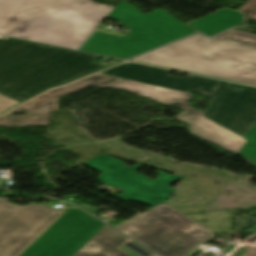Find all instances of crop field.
I'll use <instances>...</instances> for the list:
<instances>
[{
  "instance_id": "8a807250",
  "label": "crop field",
  "mask_w": 256,
  "mask_h": 256,
  "mask_svg": "<svg viewBox=\"0 0 256 256\" xmlns=\"http://www.w3.org/2000/svg\"><path fill=\"white\" fill-rule=\"evenodd\" d=\"M168 73L160 68L123 63L100 74L185 93L202 92L212 99L201 116L246 139L238 155L256 164V88L190 74L181 79Z\"/></svg>"
},
{
  "instance_id": "d1516ede",
  "label": "crop field",
  "mask_w": 256,
  "mask_h": 256,
  "mask_svg": "<svg viewBox=\"0 0 256 256\" xmlns=\"http://www.w3.org/2000/svg\"><path fill=\"white\" fill-rule=\"evenodd\" d=\"M128 238L104 226L73 256H128L117 248Z\"/></svg>"
},
{
  "instance_id": "412701ff",
  "label": "crop field",
  "mask_w": 256,
  "mask_h": 256,
  "mask_svg": "<svg viewBox=\"0 0 256 256\" xmlns=\"http://www.w3.org/2000/svg\"><path fill=\"white\" fill-rule=\"evenodd\" d=\"M98 56L3 37L0 39V93L20 101L106 66Z\"/></svg>"
},
{
  "instance_id": "5142ce71",
  "label": "crop field",
  "mask_w": 256,
  "mask_h": 256,
  "mask_svg": "<svg viewBox=\"0 0 256 256\" xmlns=\"http://www.w3.org/2000/svg\"><path fill=\"white\" fill-rule=\"evenodd\" d=\"M82 208H84L85 210L89 211L90 213L92 214H95L98 210V208H94V207H91V206H88V205H80Z\"/></svg>"
},
{
  "instance_id": "d9b57169",
  "label": "crop field",
  "mask_w": 256,
  "mask_h": 256,
  "mask_svg": "<svg viewBox=\"0 0 256 256\" xmlns=\"http://www.w3.org/2000/svg\"><path fill=\"white\" fill-rule=\"evenodd\" d=\"M256 255V249L251 248L246 253H244L242 256H255Z\"/></svg>"
},
{
  "instance_id": "4a817a6b",
  "label": "crop field",
  "mask_w": 256,
  "mask_h": 256,
  "mask_svg": "<svg viewBox=\"0 0 256 256\" xmlns=\"http://www.w3.org/2000/svg\"><path fill=\"white\" fill-rule=\"evenodd\" d=\"M2 36H0V38H1Z\"/></svg>"
},
{
  "instance_id": "e52e79f7",
  "label": "crop field",
  "mask_w": 256,
  "mask_h": 256,
  "mask_svg": "<svg viewBox=\"0 0 256 256\" xmlns=\"http://www.w3.org/2000/svg\"><path fill=\"white\" fill-rule=\"evenodd\" d=\"M83 165H87L101 172L102 174L97 179L103 184H109L125 191L114 196L124 201L143 202L152 207L169 199L173 189L167 186L182 178L177 175L170 176L158 171L156 172L158 179L156 178L157 180L150 181L135 172L141 165L135 164L128 168L122 162L103 154ZM152 199L156 200L153 201Z\"/></svg>"
},
{
  "instance_id": "733c2abd",
  "label": "crop field",
  "mask_w": 256,
  "mask_h": 256,
  "mask_svg": "<svg viewBox=\"0 0 256 256\" xmlns=\"http://www.w3.org/2000/svg\"><path fill=\"white\" fill-rule=\"evenodd\" d=\"M144 216V214L143 215H141V216H138V217H136V218H133V219H131V220H128V221H131V222H136L137 220H139L141 217H143Z\"/></svg>"
},
{
  "instance_id": "d8731c3e",
  "label": "crop field",
  "mask_w": 256,
  "mask_h": 256,
  "mask_svg": "<svg viewBox=\"0 0 256 256\" xmlns=\"http://www.w3.org/2000/svg\"><path fill=\"white\" fill-rule=\"evenodd\" d=\"M64 211L39 204L0 200V256H18Z\"/></svg>"
},
{
  "instance_id": "dd49c442",
  "label": "crop field",
  "mask_w": 256,
  "mask_h": 256,
  "mask_svg": "<svg viewBox=\"0 0 256 256\" xmlns=\"http://www.w3.org/2000/svg\"><path fill=\"white\" fill-rule=\"evenodd\" d=\"M115 228L162 256H184L212 234L163 203L136 223L124 222Z\"/></svg>"
},
{
  "instance_id": "22f410ed",
  "label": "crop field",
  "mask_w": 256,
  "mask_h": 256,
  "mask_svg": "<svg viewBox=\"0 0 256 256\" xmlns=\"http://www.w3.org/2000/svg\"><path fill=\"white\" fill-rule=\"evenodd\" d=\"M242 22V14L233 10H219L188 25L207 36H212Z\"/></svg>"
},
{
  "instance_id": "28ad6ade",
  "label": "crop field",
  "mask_w": 256,
  "mask_h": 256,
  "mask_svg": "<svg viewBox=\"0 0 256 256\" xmlns=\"http://www.w3.org/2000/svg\"><path fill=\"white\" fill-rule=\"evenodd\" d=\"M120 80L95 74L76 83L73 82L74 84L55 88L10 111H28V115L3 117L10 113L8 112L0 116V126L47 125L49 113L58 109L57 98L88 86L106 88Z\"/></svg>"
},
{
  "instance_id": "f4fd0767",
  "label": "crop field",
  "mask_w": 256,
  "mask_h": 256,
  "mask_svg": "<svg viewBox=\"0 0 256 256\" xmlns=\"http://www.w3.org/2000/svg\"><path fill=\"white\" fill-rule=\"evenodd\" d=\"M140 13L121 0L106 18L123 23L125 36L95 32L80 50L126 59L195 32L161 9Z\"/></svg>"
},
{
  "instance_id": "ac0d7876",
  "label": "crop field",
  "mask_w": 256,
  "mask_h": 256,
  "mask_svg": "<svg viewBox=\"0 0 256 256\" xmlns=\"http://www.w3.org/2000/svg\"><path fill=\"white\" fill-rule=\"evenodd\" d=\"M112 9L91 0H0V34L77 49Z\"/></svg>"
},
{
  "instance_id": "5a996713",
  "label": "crop field",
  "mask_w": 256,
  "mask_h": 256,
  "mask_svg": "<svg viewBox=\"0 0 256 256\" xmlns=\"http://www.w3.org/2000/svg\"><path fill=\"white\" fill-rule=\"evenodd\" d=\"M110 88L134 92L166 105L181 104L186 112L179 117L191 126L189 133L233 154H238L246 141L201 117L202 111L190 108L187 103L192 98V95L140 84L126 79Z\"/></svg>"
},
{
  "instance_id": "cbeb9de0",
  "label": "crop field",
  "mask_w": 256,
  "mask_h": 256,
  "mask_svg": "<svg viewBox=\"0 0 256 256\" xmlns=\"http://www.w3.org/2000/svg\"><path fill=\"white\" fill-rule=\"evenodd\" d=\"M20 102L0 95V113Z\"/></svg>"
},
{
  "instance_id": "34b2d1b8",
  "label": "crop field",
  "mask_w": 256,
  "mask_h": 256,
  "mask_svg": "<svg viewBox=\"0 0 256 256\" xmlns=\"http://www.w3.org/2000/svg\"><path fill=\"white\" fill-rule=\"evenodd\" d=\"M130 60L256 85V35L196 33Z\"/></svg>"
},
{
  "instance_id": "3316defc",
  "label": "crop field",
  "mask_w": 256,
  "mask_h": 256,
  "mask_svg": "<svg viewBox=\"0 0 256 256\" xmlns=\"http://www.w3.org/2000/svg\"><path fill=\"white\" fill-rule=\"evenodd\" d=\"M104 225L73 206L21 256H71Z\"/></svg>"
}]
</instances>
